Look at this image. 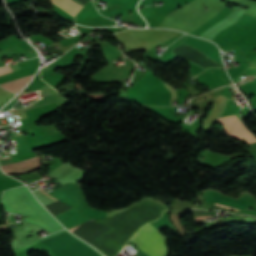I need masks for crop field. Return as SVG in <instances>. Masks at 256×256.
<instances>
[{"label": "crop field", "instance_id": "obj_1", "mask_svg": "<svg viewBox=\"0 0 256 256\" xmlns=\"http://www.w3.org/2000/svg\"><path fill=\"white\" fill-rule=\"evenodd\" d=\"M151 223L141 228L131 239L149 256H165L166 245L164 237Z\"/></svg>", "mask_w": 256, "mask_h": 256}, {"label": "crop field", "instance_id": "obj_2", "mask_svg": "<svg viewBox=\"0 0 256 256\" xmlns=\"http://www.w3.org/2000/svg\"><path fill=\"white\" fill-rule=\"evenodd\" d=\"M219 121L223 125L226 134L238 138L244 137L249 143L256 142V137L244 128L235 115L220 118Z\"/></svg>", "mask_w": 256, "mask_h": 256}, {"label": "crop field", "instance_id": "obj_3", "mask_svg": "<svg viewBox=\"0 0 256 256\" xmlns=\"http://www.w3.org/2000/svg\"><path fill=\"white\" fill-rule=\"evenodd\" d=\"M2 170L5 173H12V174H22L25 172L37 170L40 168V159L39 156L35 158H31L16 164L8 165V166H1Z\"/></svg>", "mask_w": 256, "mask_h": 256}, {"label": "crop field", "instance_id": "obj_4", "mask_svg": "<svg viewBox=\"0 0 256 256\" xmlns=\"http://www.w3.org/2000/svg\"><path fill=\"white\" fill-rule=\"evenodd\" d=\"M51 1L61 9L71 14L72 16H75V14L79 11V9L82 6H84L78 0H51Z\"/></svg>", "mask_w": 256, "mask_h": 256}, {"label": "crop field", "instance_id": "obj_5", "mask_svg": "<svg viewBox=\"0 0 256 256\" xmlns=\"http://www.w3.org/2000/svg\"><path fill=\"white\" fill-rule=\"evenodd\" d=\"M34 74L19 78V79H15L3 84H0L1 86H3L5 89L13 91L15 93H17L19 90H21L30 80L31 77H33Z\"/></svg>", "mask_w": 256, "mask_h": 256}, {"label": "crop field", "instance_id": "obj_6", "mask_svg": "<svg viewBox=\"0 0 256 256\" xmlns=\"http://www.w3.org/2000/svg\"><path fill=\"white\" fill-rule=\"evenodd\" d=\"M21 134V133H20ZM19 135V134H18ZM17 136V135H16ZM17 139L21 142L19 144H17V147L19 149L20 152L22 151H26L29 150V144L27 142V140L25 139V137L23 136V134L17 136Z\"/></svg>", "mask_w": 256, "mask_h": 256}, {"label": "crop field", "instance_id": "obj_7", "mask_svg": "<svg viewBox=\"0 0 256 256\" xmlns=\"http://www.w3.org/2000/svg\"><path fill=\"white\" fill-rule=\"evenodd\" d=\"M6 70H10V67L9 66H4V67L0 68V72L6 71ZM9 72H12V70L0 73V75L6 74V73H9Z\"/></svg>", "mask_w": 256, "mask_h": 256}, {"label": "crop field", "instance_id": "obj_8", "mask_svg": "<svg viewBox=\"0 0 256 256\" xmlns=\"http://www.w3.org/2000/svg\"><path fill=\"white\" fill-rule=\"evenodd\" d=\"M208 217H211V216L197 217V218H195V219H196V220H199V219H206V218H208Z\"/></svg>", "mask_w": 256, "mask_h": 256}, {"label": "crop field", "instance_id": "obj_9", "mask_svg": "<svg viewBox=\"0 0 256 256\" xmlns=\"http://www.w3.org/2000/svg\"><path fill=\"white\" fill-rule=\"evenodd\" d=\"M217 206H222V205H218L216 204ZM222 207H227V206H222ZM227 208H231V207H227ZM233 209H236V208H233ZM237 210H240V209H237Z\"/></svg>", "mask_w": 256, "mask_h": 256}, {"label": "crop field", "instance_id": "obj_10", "mask_svg": "<svg viewBox=\"0 0 256 256\" xmlns=\"http://www.w3.org/2000/svg\"><path fill=\"white\" fill-rule=\"evenodd\" d=\"M75 228V227H74ZM74 228L70 229V231L72 232L74 230Z\"/></svg>", "mask_w": 256, "mask_h": 256}, {"label": "crop field", "instance_id": "obj_11", "mask_svg": "<svg viewBox=\"0 0 256 256\" xmlns=\"http://www.w3.org/2000/svg\"><path fill=\"white\" fill-rule=\"evenodd\" d=\"M47 194V193H46ZM50 196V195H49ZM55 199V198H54Z\"/></svg>", "mask_w": 256, "mask_h": 256}]
</instances>
